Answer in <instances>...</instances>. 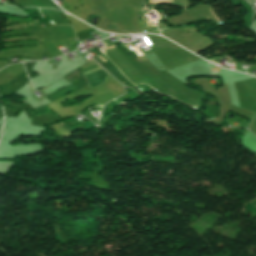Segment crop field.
I'll return each instance as SVG.
<instances>
[{"label":"crop field","mask_w":256,"mask_h":256,"mask_svg":"<svg viewBox=\"0 0 256 256\" xmlns=\"http://www.w3.org/2000/svg\"><path fill=\"white\" fill-rule=\"evenodd\" d=\"M113 47H115V46H113ZM113 47H107V48H113ZM107 48H105V49H107Z\"/></svg>","instance_id":"crop-field-1"}]
</instances>
